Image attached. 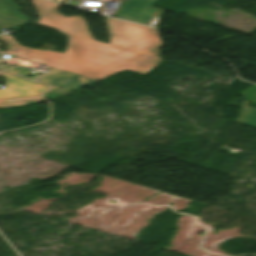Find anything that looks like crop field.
<instances>
[{
	"label": "crop field",
	"mask_w": 256,
	"mask_h": 256,
	"mask_svg": "<svg viewBox=\"0 0 256 256\" xmlns=\"http://www.w3.org/2000/svg\"><path fill=\"white\" fill-rule=\"evenodd\" d=\"M158 1L160 0H126L116 17L156 27L164 11L151 7Z\"/></svg>",
	"instance_id": "crop-field-2"
},
{
	"label": "crop field",
	"mask_w": 256,
	"mask_h": 256,
	"mask_svg": "<svg viewBox=\"0 0 256 256\" xmlns=\"http://www.w3.org/2000/svg\"><path fill=\"white\" fill-rule=\"evenodd\" d=\"M12 1L13 0H0V13L28 21V18L20 14L21 12L19 13L17 10L18 6H16Z\"/></svg>",
	"instance_id": "crop-field-7"
},
{
	"label": "crop field",
	"mask_w": 256,
	"mask_h": 256,
	"mask_svg": "<svg viewBox=\"0 0 256 256\" xmlns=\"http://www.w3.org/2000/svg\"><path fill=\"white\" fill-rule=\"evenodd\" d=\"M4 71L26 77L29 69L3 64Z\"/></svg>",
	"instance_id": "crop-field-8"
},
{
	"label": "crop field",
	"mask_w": 256,
	"mask_h": 256,
	"mask_svg": "<svg viewBox=\"0 0 256 256\" xmlns=\"http://www.w3.org/2000/svg\"><path fill=\"white\" fill-rule=\"evenodd\" d=\"M40 20L38 24L69 36L65 54L26 48L11 35L0 36L8 54L25 60L101 80L125 69L146 75L157 64L161 46L156 29L107 17L111 44L94 41L82 17H67L56 12L60 4L32 0Z\"/></svg>",
	"instance_id": "crop-field-1"
},
{
	"label": "crop field",
	"mask_w": 256,
	"mask_h": 256,
	"mask_svg": "<svg viewBox=\"0 0 256 256\" xmlns=\"http://www.w3.org/2000/svg\"><path fill=\"white\" fill-rule=\"evenodd\" d=\"M4 74L6 77V89H0V99L39 95L48 87L33 83L15 76Z\"/></svg>",
	"instance_id": "crop-field-4"
},
{
	"label": "crop field",
	"mask_w": 256,
	"mask_h": 256,
	"mask_svg": "<svg viewBox=\"0 0 256 256\" xmlns=\"http://www.w3.org/2000/svg\"><path fill=\"white\" fill-rule=\"evenodd\" d=\"M28 23L27 21L7 17L4 15H0V24H11V25H18L22 26L23 24ZM26 25V24H25Z\"/></svg>",
	"instance_id": "crop-field-9"
},
{
	"label": "crop field",
	"mask_w": 256,
	"mask_h": 256,
	"mask_svg": "<svg viewBox=\"0 0 256 256\" xmlns=\"http://www.w3.org/2000/svg\"><path fill=\"white\" fill-rule=\"evenodd\" d=\"M35 81L67 89H79L85 84L92 85L97 81L77 76L73 73L52 68L51 72L38 75Z\"/></svg>",
	"instance_id": "crop-field-3"
},
{
	"label": "crop field",
	"mask_w": 256,
	"mask_h": 256,
	"mask_svg": "<svg viewBox=\"0 0 256 256\" xmlns=\"http://www.w3.org/2000/svg\"><path fill=\"white\" fill-rule=\"evenodd\" d=\"M52 1L65 2L66 0H52Z\"/></svg>",
	"instance_id": "crop-field-11"
},
{
	"label": "crop field",
	"mask_w": 256,
	"mask_h": 256,
	"mask_svg": "<svg viewBox=\"0 0 256 256\" xmlns=\"http://www.w3.org/2000/svg\"><path fill=\"white\" fill-rule=\"evenodd\" d=\"M67 92H68L67 89H52L48 93L44 94L43 97L50 100H54L57 96Z\"/></svg>",
	"instance_id": "crop-field-10"
},
{
	"label": "crop field",
	"mask_w": 256,
	"mask_h": 256,
	"mask_svg": "<svg viewBox=\"0 0 256 256\" xmlns=\"http://www.w3.org/2000/svg\"><path fill=\"white\" fill-rule=\"evenodd\" d=\"M0 77H1V75H0Z\"/></svg>",
	"instance_id": "crop-field-12"
},
{
	"label": "crop field",
	"mask_w": 256,
	"mask_h": 256,
	"mask_svg": "<svg viewBox=\"0 0 256 256\" xmlns=\"http://www.w3.org/2000/svg\"><path fill=\"white\" fill-rule=\"evenodd\" d=\"M42 101L44 100L39 96L2 99L0 100V108H12V105H22V104H28L31 102L38 103Z\"/></svg>",
	"instance_id": "crop-field-6"
},
{
	"label": "crop field",
	"mask_w": 256,
	"mask_h": 256,
	"mask_svg": "<svg viewBox=\"0 0 256 256\" xmlns=\"http://www.w3.org/2000/svg\"><path fill=\"white\" fill-rule=\"evenodd\" d=\"M237 121L256 127V109L248 107L246 100H243L242 109Z\"/></svg>",
	"instance_id": "crop-field-5"
}]
</instances>
